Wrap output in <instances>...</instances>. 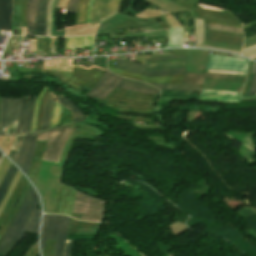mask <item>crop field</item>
Segmentation results:
<instances>
[{
    "label": "crop field",
    "instance_id": "crop-field-1",
    "mask_svg": "<svg viewBox=\"0 0 256 256\" xmlns=\"http://www.w3.org/2000/svg\"><path fill=\"white\" fill-rule=\"evenodd\" d=\"M25 98L26 96H23L22 99L2 97L0 108V135H7L10 122H17L20 99V115L16 132L15 128L17 123H11L8 134H12L14 132L15 134H17L30 130L36 96H34L32 99L29 111L28 107L30 102V96L28 97L25 109H23Z\"/></svg>",
    "mask_w": 256,
    "mask_h": 256
},
{
    "label": "crop field",
    "instance_id": "crop-field-2",
    "mask_svg": "<svg viewBox=\"0 0 256 256\" xmlns=\"http://www.w3.org/2000/svg\"><path fill=\"white\" fill-rule=\"evenodd\" d=\"M70 218L65 215H46L41 230V249H44L46 239H55L59 228V233L54 248L53 256H62V249L66 237L67 228ZM69 229V228H68ZM73 240H67L65 243L63 256H69V250Z\"/></svg>",
    "mask_w": 256,
    "mask_h": 256
},
{
    "label": "crop field",
    "instance_id": "crop-field-3",
    "mask_svg": "<svg viewBox=\"0 0 256 256\" xmlns=\"http://www.w3.org/2000/svg\"><path fill=\"white\" fill-rule=\"evenodd\" d=\"M37 195L31 185L11 223L4 235L0 238V256H3L7 249L14 242L22 227L24 226L30 211L36 201Z\"/></svg>",
    "mask_w": 256,
    "mask_h": 256
},
{
    "label": "crop field",
    "instance_id": "crop-field-4",
    "mask_svg": "<svg viewBox=\"0 0 256 256\" xmlns=\"http://www.w3.org/2000/svg\"><path fill=\"white\" fill-rule=\"evenodd\" d=\"M21 135L14 137L11 152L9 155L10 158H11L12 152L17 151ZM37 135L38 133L24 134L23 141H22L23 136L21 137V141H20V145L17 153L12 154L11 160L14 161L26 174H28V171L32 162V158H33V154L36 146Z\"/></svg>",
    "mask_w": 256,
    "mask_h": 256
},
{
    "label": "crop field",
    "instance_id": "crop-field-5",
    "mask_svg": "<svg viewBox=\"0 0 256 256\" xmlns=\"http://www.w3.org/2000/svg\"><path fill=\"white\" fill-rule=\"evenodd\" d=\"M68 128L69 126L59 127L39 133L38 140H48L42 160L58 163L64 142L68 135Z\"/></svg>",
    "mask_w": 256,
    "mask_h": 256
},
{
    "label": "crop field",
    "instance_id": "crop-field-6",
    "mask_svg": "<svg viewBox=\"0 0 256 256\" xmlns=\"http://www.w3.org/2000/svg\"><path fill=\"white\" fill-rule=\"evenodd\" d=\"M105 202L77 191L72 212L83 213L81 220L101 222Z\"/></svg>",
    "mask_w": 256,
    "mask_h": 256
},
{
    "label": "crop field",
    "instance_id": "crop-field-7",
    "mask_svg": "<svg viewBox=\"0 0 256 256\" xmlns=\"http://www.w3.org/2000/svg\"><path fill=\"white\" fill-rule=\"evenodd\" d=\"M55 99H56L57 102L63 104L64 106H66L68 109L71 110L72 117H73V122L83 120L82 113L79 111V109L73 103H71L69 101V99H67L62 94H60L57 97V96L49 93V95L46 99V102H45V106H44V111H43V115H42V122H41L40 130H43V129H46V128L49 127L51 110H52L53 102H54Z\"/></svg>",
    "mask_w": 256,
    "mask_h": 256
},
{
    "label": "crop field",
    "instance_id": "crop-field-8",
    "mask_svg": "<svg viewBox=\"0 0 256 256\" xmlns=\"http://www.w3.org/2000/svg\"><path fill=\"white\" fill-rule=\"evenodd\" d=\"M247 61L242 58L210 54L207 69L246 72Z\"/></svg>",
    "mask_w": 256,
    "mask_h": 256
},
{
    "label": "crop field",
    "instance_id": "crop-field-9",
    "mask_svg": "<svg viewBox=\"0 0 256 256\" xmlns=\"http://www.w3.org/2000/svg\"><path fill=\"white\" fill-rule=\"evenodd\" d=\"M121 80L122 77L112 74L107 70L98 84L92 90L88 91L86 95L91 99L96 96L102 100L114 90Z\"/></svg>",
    "mask_w": 256,
    "mask_h": 256
},
{
    "label": "crop field",
    "instance_id": "crop-field-10",
    "mask_svg": "<svg viewBox=\"0 0 256 256\" xmlns=\"http://www.w3.org/2000/svg\"><path fill=\"white\" fill-rule=\"evenodd\" d=\"M120 0H95L92 5L91 25L98 24L118 10Z\"/></svg>",
    "mask_w": 256,
    "mask_h": 256
},
{
    "label": "crop field",
    "instance_id": "crop-field-11",
    "mask_svg": "<svg viewBox=\"0 0 256 256\" xmlns=\"http://www.w3.org/2000/svg\"><path fill=\"white\" fill-rule=\"evenodd\" d=\"M115 67L124 69L126 71H130V72L141 73L146 75V77L159 76V75H179V74H184V70H185V69H175V70H159V71L145 72V65L128 62V61H122L118 59L116 61Z\"/></svg>",
    "mask_w": 256,
    "mask_h": 256
},
{
    "label": "crop field",
    "instance_id": "crop-field-12",
    "mask_svg": "<svg viewBox=\"0 0 256 256\" xmlns=\"http://www.w3.org/2000/svg\"><path fill=\"white\" fill-rule=\"evenodd\" d=\"M204 78H225V79L244 80L245 76L211 74V73H206V75H202V74H195V73L186 72L182 82L183 83H189V84H200V85H202L203 82H204Z\"/></svg>",
    "mask_w": 256,
    "mask_h": 256
},
{
    "label": "crop field",
    "instance_id": "crop-field-13",
    "mask_svg": "<svg viewBox=\"0 0 256 256\" xmlns=\"http://www.w3.org/2000/svg\"><path fill=\"white\" fill-rule=\"evenodd\" d=\"M38 201H39V199L37 198L36 204H35L32 212H31V214H30V216H29L25 226L23 227V229H22L21 233L19 234L17 240L13 243V245L10 247V249L7 251V253L22 238V236H23V234L25 233L26 230L37 233L38 225H39V220H40V212L35 207H36ZM7 253L4 256H6Z\"/></svg>",
    "mask_w": 256,
    "mask_h": 256
},
{
    "label": "crop field",
    "instance_id": "crop-field-14",
    "mask_svg": "<svg viewBox=\"0 0 256 256\" xmlns=\"http://www.w3.org/2000/svg\"><path fill=\"white\" fill-rule=\"evenodd\" d=\"M13 0H0V29L10 31V19Z\"/></svg>",
    "mask_w": 256,
    "mask_h": 256
},
{
    "label": "crop field",
    "instance_id": "crop-field-15",
    "mask_svg": "<svg viewBox=\"0 0 256 256\" xmlns=\"http://www.w3.org/2000/svg\"><path fill=\"white\" fill-rule=\"evenodd\" d=\"M38 0H28L27 3V30L26 35H35V18Z\"/></svg>",
    "mask_w": 256,
    "mask_h": 256
},
{
    "label": "crop field",
    "instance_id": "crop-field-16",
    "mask_svg": "<svg viewBox=\"0 0 256 256\" xmlns=\"http://www.w3.org/2000/svg\"><path fill=\"white\" fill-rule=\"evenodd\" d=\"M46 4L47 0H39L38 2L36 35H45Z\"/></svg>",
    "mask_w": 256,
    "mask_h": 256
},
{
    "label": "crop field",
    "instance_id": "crop-field-17",
    "mask_svg": "<svg viewBox=\"0 0 256 256\" xmlns=\"http://www.w3.org/2000/svg\"><path fill=\"white\" fill-rule=\"evenodd\" d=\"M205 39L242 45L243 38L205 32Z\"/></svg>",
    "mask_w": 256,
    "mask_h": 256
},
{
    "label": "crop field",
    "instance_id": "crop-field-18",
    "mask_svg": "<svg viewBox=\"0 0 256 256\" xmlns=\"http://www.w3.org/2000/svg\"><path fill=\"white\" fill-rule=\"evenodd\" d=\"M152 86L158 87L160 90H182V91H194L200 92L202 86H195V85H188V84H181V85H169V84H150Z\"/></svg>",
    "mask_w": 256,
    "mask_h": 256
},
{
    "label": "crop field",
    "instance_id": "crop-field-19",
    "mask_svg": "<svg viewBox=\"0 0 256 256\" xmlns=\"http://www.w3.org/2000/svg\"><path fill=\"white\" fill-rule=\"evenodd\" d=\"M16 168L14 165H11L8 173L6 174L5 178L3 179L1 185H0V202L2 200V198L4 197L13 177H14V174L16 172Z\"/></svg>",
    "mask_w": 256,
    "mask_h": 256
},
{
    "label": "crop field",
    "instance_id": "crop-field-20",
    "mask_svg": "<svg viewBox=\"0 0 256 256\" xmlns=\"http://www.w3.org/2000/svg\"><path fill=\"white\" fill-rule=\"evenodd\" d=\"M185 67V62H171L146 65V71Z\"/></svg>",
    "mask_w": 256,
    "mask_h": 256
},
{
    "label": "crop field",
    "instance_id": "crop-field-21",
    "mask_svg": "<svg viewBox=\"0 0 256 256\" xmlns=\"http://www.w3.org/2000/svg\"><path fill=\"white\" fill-rule=\"evenodd\" d=\"M170 46H182V27L170 30L169 47Z\"/></svg>",
    "mask_w": 256,
    "mask_h": 256
},
{
    "label": "crop field",
    "instance_id": "crop-field-22",
    "mask_svg": "<svg viewBox=\"0 0 256 256\" xmlns=\"http://www.w3.org/2000/svg\"><path fill=\"white\" fill-rule=\"evenodd\" d=\"M87 3L88 0H79L76 11V24L85 23Z\"/></svg>",
    "mask_w": 256,
    "mask_h": 256
},
{
    "label": "crop field",
    "instance_id": "crop-field-23",
    "mask_svg": "<svg viewBox=\"0 0 256 256\" xmlns=\"http://www.w3.org/2000/svg\"><path fill=\"white\" fill-rule=\"evenodd\" d=\"M205 28L243 34L242 30L238 28L208 24V23H205Z\"/></svg>",
    "mask_w": 256,
    "mask_h": 256
},
{
    "label": "crop field",
    "instance_id": "crop-field-24",
    "mask_svg": "<svg viewBox=\"0 0 256 256\" xmlns=\"http://www.w3.org/2000/svg\"><path fill=\"white\" fill-rule=\"evenodd\" d=\"M110 70V69H109ZM113 71V70H111ZM115 73H118L116 71H113ZM120 75H123V76H126L128 78H132V79H137V80H142L144 81L143 78H139V77H134V76H129V75H125V74H121V73H118ZM184 75H180V76H159V77H149V78H145V79H158V80H166V79H182Z\"/></svg>",
    "mask_w": 256,
    "mask_h": 256
},
{
    "label": "crop field",
    "instance_id": "crop-field-25",
    "mask_svg": "<svg viewBox=\"0 0 256 256\" xmlns=\"http://www.w3.org/2000/svg\"><path fill=\"white\" fill-rule=\"evenodd\" d=\"M121 84L135 86V87H140V88H145V89H155V88H153L151 86H148V85H146L144 83L132 81V80L125 79V78L122 80Z\"/></svg>",
    "mask_w": 256,
    "mask_h": 256
},
{
    "label": "crop field",
    "instance_id": "crop-field-26",
    "mask_svg": "<svg viewBox=\"0 0 256 256\" xmlns=\"http://www.w3.org/2000/svg\"><path fill=\"white\" fill-rule=\"evenodd\" d=\"M118 87L128 89V90H131V91H135V92H145V93H154V94L159 93V91H157V90H145V89L129 87V86L121 85V84Z\"/></svg>",
    "mask_w": 256,
    "mask_h": 256
},
{
    "label": "crop field",
    "instance_id": "crop-field-27",
    "mask_svg": "<svg viewBox=\"0 0 256 256\" xmlns=\"http://www.w3.org/2000/svg\"><path fill=\"white\" fill-rule=\"evenodd\" d=\"M77 1L78 0H70L66 12L75 13Z\"/></svg>",
    "mask_w": 256,
    "mask_h": 256
},
{
    "label": "crop field",
    "instance_id": "crop-field-28",
    "mask_svg": "<svg viewBox=\"0 0 256 256\" xmlns=\"http://www.w3.org/2000/svg\"><path fill=\"white\" fill-rule=\"evenodd\" d=\"M255 91H256V65H255V69H254V77H253L252 85H251L250 92H249L248 96L254 95Z\"/></svg>",
    "mask_w": 256,
    "mask_h": 256
},
{
    "label": "crop field",
    "instance_id": "crop-field-29",
    "mask_svg": "<svg viewBox=\"0 0 256 256\" xmlns=\"http://www.w3.org/2000/svg\"><path fill=\"white\" fill-rule=\"evenodd\" d=\"M26 2L27 0H24L22 8V27H26Z\"/></svg>",
    "mask_w": 256,
    "mask_h": 256
},
{
    "label": "crop field",
    "instance_id": "crop-field-30",
    "mask_svg": "<svg viewBox=\"0 0 256 256\" xmlns=\"http://www.w3.org/2000/svg\"><path fill=\"white\" fill-rule=\"evenodd\" d=\"M182 80H173V81H156V80H145V82L152 83H170V84H181Z\"/></svg>",
    "mask_w": 256,
    "mask_h": 256
},
{
    "label": "crop field",
    "instance_id": "crop-field-31",
    "mask_svg": "<svg viewBox=\"0 0 256 256\" xmlns=\"http://www.w3.org/2000/svg\"><path fill=\"white\" fill-rule=\"evenodd\" d=\"M185 57L186 56L162 57V58H156V59H147L146 61L160 60V59H173V58H185Z\"/></svg>",
    "mask_w": 256,
    "mask_h": 256
},
{
    "label": "crop field",
    "instance_id": "crop-field-32",
    "mask_svg": "<svg viewBox=\"0 0 256 256\" xmlns=\"http://www.w3.org/2000/svg\"><path fill=\"white\" fill-rule=\"evenodd\" d=\"M110 68V67H109ZM113 70H116V71H120V72H123L125 74H129V75H134V76H139V77H145L144 75H137V74H133V73H129V72H126V71H123V70H119V69H114V68H111Z\"/></svg>",
    "mask_w": 256,
    "mask_h": 256
},
{
    "label": "crop field",
    "instance_id": "crop-field-33",
    "mask_svg": "<svg viewBox=\"0 0 256 256\" xmlns=\"http://www.w3.org/2000/svg\"><path fill=\"white\" fill-rule=\"evenodd\" d=\"M7 159L4 157L3 158V161H2V163H1V165H0V174H1V172H2V170H3V168H4V166H5V164L7 163Z\"/></svg>",
    "mask_w": 256,
    "mask_h": 256
},
{
    "label": "crop field",
    "instance_id": "crop-field-34",
    "mask_svg": "<svg viewBox=\"0 0 256 256\" xmlns=\"http://www.w3.org/2000/svg\"><path fill=\"white\" fill-rule=\"evenodd\" d=\"M159 100H165V99H159ZM166 101H171V100H166Z\"/></svg>",
    "mask_w": 256,
    "mask_h": 256
},
{
    "label": "crop field",
    "instance_id": "crop-field-35",
    "mask_svg": "<svg viewBox=\"0 0 256 256\" xmlns=\"http://www.w3.org/2000/svg\"><path fill=\"white\" fill-rule=\"evenodd\" d=\"M2 154L0 153V158H1Z\"/></svg>",
    "mask_w": 256,
    "mask_h": 256
},
{
    "label": "crop field",
    "instance_id": "crop-field-36",
    "mask_svg": "<svg viewBox=\"0 0 256 256\" xmlns=\"http://www.w3.org/2000/svg\"><path fill=\"white\" fill-rule=\"evenodd\" d=\"M256 59V58H255Z\"/></svg>",
    "mask_w": 256,
    "mask_h": 256
}]
</instances>
